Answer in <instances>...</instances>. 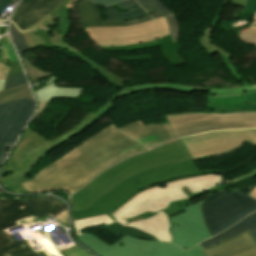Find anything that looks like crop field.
Masks as SVG:
<instances>
[{
  "mask_svg": "<svg viewBox=\"0 0 256 256\" xmlns=\"http://www.w3.org/2000/svg\"><path fill=\"white\" fill-rule=\"evenodd\" d=\"M165 117L176 138L211 130L256 127V111L228 114L182 113Z\"/></svg>",
  "mask_w": 256,
  "mask_h": 256,
  "instance_id": "d8731c3e",
  "label": "crop field"
},
{
  "mask_svg": "<svg viewBox=\"0 0 256 256\" xmlns=\"http://www.w3.org/2000/svg\"><path fill=\"white\" fill-rule=\"evenodd\" d=\"M120 130L150 148H154L174 139L167 123L143 125L138 121L136 123L123 126Z\"/></svg>",
  "mask_w": 256,
  "mask_h": 256,
  "instance_id": "5142ce71",
  "label": "crop field"
},
{
  "mask_svg": "<svg viewBox=\"0 0 256 256\" xmlns=\"http://www.w3.org/2000/svg\"><path fill=\"white\" fill-rule=\"evenodd\" d=\"M223 61L225 62L227 68L230 70L232 75L237 78L239 81L242 80L241 76L237 72L234 65H232L231 61L228 57L220 54ZM243 81V80H242ZM244 82V81H243ZM246 86H236L232 88H201V87H191V86H183L178 84H141L136 85L132 87H124L125 90H132L131 92L124 93L122 95H126L133 92L138 91H144L148 89H164V90H173L178 91L182 93H190L194 90H207L212 91L214 96H229V95H235V94H242L245 91L256 89V85H248L246 82H244Z\"/></svg>",
  "mask_w": 256,
  "mask_h": 256,
  "instance_id": "22f410ed",
  "label": "crop field"
},
{
  "mask_svg": "<svg viewBox=\"0 0 256 256\" xmlns=\"http://www.w3.org/2000/svg\"><path fill=\"white\" fill-rule=\"evenodd\" d=\"M38 102V104H39V110H38V112H37V114L35 115V117L37 116V115H39L43 110H44V108L46 107V105L48 104V103H45V102H39V101H37ZM34 117V118H35ZM33 118V119H34ZM32 119V120H33Z\"/></svg>",
  "mask_w": 256,
  "mask_h": 256,
  "instance_id": "425ffa30",
  "label": "crop field"
},
{
  "mask_svg": "<svg viewBox=\"0 0 256 256\" xmlns=\"http://www.w3.org/2000/svg\"><path fill=\"white\" fill-rule=\"evenodd\" d=\"M237 32V35L243 42H247L256 46V25H249L244 27Z\"/></svg>",
  "mask_w": 256,
  "mask_h": 256,
  "instance_id": "eef30255",
  "label": "crop field"
},
{
  "mask_svg": "<svg viewBox=\"0 0 256 256\" xmlns=\"http://www.w3.org/2000/svg\"><path fill=\"white\" fill-rule=\"evenodd\" d=\"M110 223H113V221L107 215L90 217V218H85L79 221H74V229H75L76 235H78V234H83L81 231H83L86 228H89L92 226L101 227Z\"/></svg>",
  "mask_w": 256,
  "mask_h": 256,
  "instance_id": "214f88e0",
  "label": "crop field"
},
{
  "mask_svg": "<svg viewBox=\"0 0 256 256\" xmlns=\"http://www.w3.org/2000/svg\"><path fill=\"white\" fill-rule=\"evenodd\" d=\"M167 24L170 29L171 37L174 43H176V38L179 35V23L174 14L166 16Z\"/></svg>",
  "mask_w": 256,
  "mask_h": 256,
  "instance_id": "d3111659",
  "label": "crop field"
},
{
  "mask_svg": "<svg viewBox=\"0 0 256 256\" xmlns=\"http://www.w3.org/2000/svg\"><path fill=\"white\" fill-rule=\"evenodd\" d=\"M84 89L56 87L52 83L35 91L37 100L50 102L54 97L76 98Z\"/></svg>",
  "mask_w": 256,
  "mask_h": 256,
  "instance_id": "bc2a9ffb",
  "label": "crop field"
},
{
  "mask_svg": "<svg viewBox=\"0 0 256 256\" xmlns=\"http://www.w3.org/2000/svg\"><path fill=\"white\" fill-rule=\"evenodd\" d=\"M79 17L83 29L99 46H127L170 35L165 17L133 26L127 21L101 22L96 4L89 0L79 3Z\"/></svg>",
  "mask_w": 256,
  "mask_h": 256,
  "instance_id": "f4fd0767",
  "label": "crop field"
},
{
  "mask_svg": "<svg viewBox=\"0 0 256 256\" xmlns=\"http://www.w3.org/2000/svg\"><path fill=\"white\" fill-rule=\"evenodd\" d=\"M255 176H256V169H254V170H252V171H250V172H248V173H246V174H244V175H242L238 178L227 181L225 183L228 184V185H231V184H235V183H238V182L246 180V179L253 178Z\"/></svg>",
  "mask_w": 256,
  "mask_h": 256,
  "instance_id": "d32e631a",
  "label": "crop field"
},
{
  "mask_svg": "<svg viewBox=\"0 0 256 256\" xmlns=\"http://www.w3.org/2000/svg\"><path fill=\"white\" fill-rule=\"evenodd\" d=\"M92 1L100 5H107V4L115 3L121 0H92Z\"/></svg>",
  "mask_w": 256,
  "mask_h": 256,
  "instance_id": "5d738f31",
  "label": "crop field"
},
{
  "mask_svg": "<svg viewBox=\"0 0 256 256\" xmlns=\"http://www.w3.org/2000/svg\"><path fill=\"white\" fill-rule=\"evenodd\" d=\"M76 246L71 247L69 249L63 250L62 256H92L88 252L82 250L77 244Z\"/></svg>",
  "mask_w": 256,
  "mask_h": 256,
  "instance_id": "1d83c4d3",
  "label": "crop field"
},
{
  "mask_svg": "<svg viewBox=\"0 0 256 256\" xmlns=\"http://www.w3.org/2000/svg\"><path fill=\"white\" fill-rule=\"evenodd\" d=\"M221 183L222 174H204L166 183V188L156 186L138 193L116 212L107 215L114 221L141 229L160 241L170 242V224L167 215L163 213L168 203L185 198L192 199Z\"/></svg>",
  "mask_w": 256,
  "mask_h": 256,
  "instance_id": "ac0d7876",
  "label": "crop field"
},
{
  "mask_svg": "<svg viewBox=\"0 0 256 256\" xmlns=\"http://www.w3.org/2000/svg\"><path fill=\"white\" fill-rule=\"evenodd\" d=\"M254 24H256V16H255V23Z\"/></svg>",
  "mask_w": 256,
  "mask_h": 256,
  "instance_id": "447ae74e",
  "label": "crop field"
},
{
  "mask_svg": "<svg viewBox=\"0 0 256 256\" xmlns=\"http://www.w3.org/2000/svg\"><path fill=\"white\" fill-rule=\"evenodd\" d=\"M256 11V0H247L242 15H254Z\"/></svg>",
  "mask_w": 256,
  "mask_h": 256,
  "instance_id": "5866460e",
  "label": "crop field"
},
{
  "mask_svg": "<svg viewBox=\"0 0 256 256\" xmlns=\"http://www.w3.org/2000/svg\"><path fill=\"white\" fill-rule=\"evenodd\" d=\"M63 0H27L15 10L12 21L21 30H25L38 19L48 14Z\"/></svg>",
  "mask_w": 256,
  "mask_h": 256,
  "instance_id": "d9b57169",
  "label": "crop field"
},
{
  "mask_svg": "<svg viewBox=\"0 0 256 256\" xmlns=\"http://www.w3.org/2000/svg\"><path fill=\"white\" fill-rule=\"evenodd\" d=\"M13 62L10 61V66H12Z\"/></svg>",
  "mask_w": 256,
  "mask_h": 256,
  "instance_id": "1d79db26",
  "label": "crop field"
},
{
  "mask_svg": "<svg viewBox=\"0 0 256 256\" xmlns=\"http://www.w3.org/2000/svg\"><path fill=\"white\" fill-rule=\"evenodd\" d=\"M125 90L116 92L95 114L87 113L82 122L61 136L46 140L31 128H27L16 148L0 171V184L14 193H29L19 184L24 182L33 166L48 152L89 128L108 110L114 107L112 102ZM21 161V163H19Z\"/></svg>",
  "mask_w": 256,
  "mask_h": 256,
  "instance_id": "34b2d1b8",
  "label": "crop field"
},
{
  "mask_svg": "<svg viewBox=\"0 0 256 256\" xmlns=\"http://www.w3.org/2000/svg\"><path fill=\"white\" fill-rule=\"evenodd\" d=\"M105 10L107 13V21L129 20V19H135V18H139L147 15V13L141 7L132 11L122 12L119 14L117 10L114 8L113 4H111L109 6H106Z\"/></svg>",
  "mask_w": 256,
  "mask_h": 256,
  "instance_id": "dafd665d",
  "label": "crop field"
},
{
  "mask_svg": "<svg viewBox=\"0 0 256 256\" xmlns=\"http://www.w3.org/2000/svg\"><path fill=\"white\" fill-rule=\"evenodd\" d=\"M0 57H3V58L6 59L4 47H3V48L1 49V51H0Z\"/></svg>",
  "mask_w": 256,
  "mask_h": 256,
  "instance_id": "1f2cbd36",
  "label": "crop field"
},
{
  "mask_svg": "<svg viewBox=\"0 0 256 256\" xmlns=\"http://www.w3.org/2000/svg\"><path fill=\"white\" fill-rule=\"evenodd\" d=\"M26 83L27 82L25 80V77H24L23 73L13 75V76H9V77L6 78L4 89L15 87V86L26 84Z\"/></svg>",
  "mask_w": 256,
  "mask_h": 256,
  "instance_id": "750c4746",
  "label": "crop field"
},
{
  "mask_svg": "<svg viewBox=\"0 0 256 256\" xmlns=\"http://www.w3.org/2000/svg\"><path fill=\"white\" fill-rule=\"evenodd\" d=\"M150 19H151L150 16L147 15V16H145L143 18H139V19H135V20H130L128 22H129L130 25H133V24H139V23L145 22V21L150 20Z\"/></svg>",
  "mask_w": 256,
  "mask_h": 256,
  "instance_id": "03da06ac",
  "label": "crop field"
},
{
  "mask_svg": "<svg viewBox=\"0 0 256 256\" xmlns=\"http://www.w3.org/2000/svg\"><path fill=\"white\" fill-rule=\"evenodd\" d=\"M5 50H6V56L8 60H11L13 62L18 61L16 54L14 52V49L11 45V42L9 39L6 40L5 44H4Z\"/></svg>",
  "mask_w": 256,
  "mask_h": 256,
  "instance_id": "120bbe31",
  "label": "crop field"
},
{
  "mask_svg": "<svg viewBox=\"0 0 256 256\" xmlns=\"http://www.w3.org/2000/svg\"><path fill=\"white\" fill-rule=\"evenodd\" d=\"M236 256H256V248H254L252 250H249V251H246V252L241 253V254L236 255Z\"/></svg>",
  "mask_w": 256,
  "mask_h": 256,
  "instance_id": "d23c7cc5",
  "label": "crop field"
},
{
  "mask_svg": "<svg viewBox=\"0 0 256 256\" xmlns=\"http://www.w3.org/2000/svg\"><path fill=\"white\" fill-rule=\"evenodd\" d=\"M143 9H144L146 12H148V13L152 16L153 19L156 18V17H161V16H163V15L161 14V12H159V11H158L155 7H153L150 3L147 4V5H145V6H143Z\"/></svg>",
  "mask_w": 256,
  "mask_h": 256,
  "instance_id": "028f5c9d",
  "label": "crop field"
},
{
  "mask_svg": "<svg viewBox=\"0 0 256 256\" xmlns=\"http://www.w3.org/2000/svg\"><path fill=\"white\" fill-rule=\"evenodd\" d=\"M50 79H51V80H49V81H47V82H44V81H43V82L47 85V84L51 83V82H52V80H56V78H55V77H51Z\"/></svg>",
  "mask_w": 256,
  "mask_h": 256,
  "instance_id": "0fb4a251",
  "label": "crop field"
},
{
  "mask_svg": "<svg viewBox=\"0 0 256 256\" xmlns=\"http://www.w3.org/2000/svg\"><path fill=\"white\" fill-rule=\"evenodd\" d=\"M70 0H65L64 2H62L60 5H58L57 7H55L48 15H46L45 17L41 18L39 21H37L35 24H33L31 27H29L28 29H34V28H40V27H50L53 24V18L54 16L57 17V13L60 12V10L62 8H64V6L69 2ZM27 29V30H28Z\"/></svg>",
  "mask_w": 256,
  "mask_h": 256,
  "instance_id": "4177f3b9",
  "label": "crop field"
},
{
  "mask_svg": "<svg viewBox=\"0 0 256 256\" xmlns=\"http://www.w3.org/2000/svg\"><path fill=\"white\" fill-rule=\"evenodd\" d=\"M204 173H221L218 170L198 171L193 160L167 164L136 174L121 182L116 188L103 196L87 210L73 212L74 220L109 213L132 193L154 184L186 175ZM133 195V194H132Z\"/></svg>",
  "mask_w": 256,
  "mask_h": 256,
  "instance_id": "e52e79f7",
  "label": "crop field"
},
{
  "mask_svg": "<svg viewBox=\"0 0 256 256\" xmlns=\"http://www.w3.org/2000/svg\"><path fill=\"white\" fill-rule=\"evenodd\" d=\"M99 256H150L142 254L138 251L132 250L126 246L116 243L113 247H108L101 251Z\"/></svg>",
  "mask_w": 256,
  "mask_h": 256,
  "instance_id": "00972430",
  "label": "crop field"
},
{
  "mask_svg": "<svg viewBox=\"0 0 256 256\" xmlns=\"http://www.w3.org/2000/svg\"><path fill=\"white\" fill-rule=\"evenodd\" d=\"M28 85L7 89L0 92V104L31 97Z\"/></svg>",
  "mask_w": 256,
  "mask_h": 256,
  "instance_id": "92a150f3",
  "label": "crop field"
},
{
  "mask_svg": "<svg viewBox=\"0 0 256 256\" xmlns=\"http://www.w3.org/2000/svg\"><path fill=\"white\" fill-rule=\"evenodd\" d=\"M138 3L142 6L148 2H150L153 6H155L158 10L162 12L164 16L173 13L169 10L160 0H137Z\"/></svg>",
  "mask_w": 256,
  "mask_h": 256,
  "instance_id": "bd1437ed",
  "label": "crop field"
},
{
  "mask_svg": "<svg viewBox=\"0 0 256 256\" xmlns=\"http://www.w3.org/2000/svg\"><path fill=\"white\" fill-rule=\"evenodd\" d=\"M22 62L26 68L30 82L53 75L51 72L46 73L37 69L27 59H23Z\"/></svg>",
  "mask_w": 256,
  "mask_h": 256,
  "instance_id": "ae1a2a85",
  "label": "crop field"
},
{
  "mask_svg": "<svg viewBox=\"0 0 256 256\" xmlns=\"http://www.w3.org/2000/svg\"><path fill=\"white\" fill-rule=\"evenodd\" d=\"M22 35L24 36V38L26 39L30 49H34V48H37L32 40V38L30 37L28 31H25V32H21Z\"/></svg>",
  "mask_w": 256,
  "mask_h": 256,
  "instance_id": "c21b1889",
  "label": "crop field"
},
{
  "mask_svg": "<svg viewBox=\"0 0 256 256\" xmlns=\"http://www.w3.org/2000/svg\"><path fill=\"white\" fill-rule=\"evenodd\" d=\"M204 200L187 206L185 212L172 217L170 220L179 225H173L171 234L173 239L171 242L182 248H189L195 244L212 237L203 221L201 214V205Z\"/></svg>",
  "mask_w": 256,
  "mask_h": 256,
  "instance_id": "d1516ede",
  "label": "crop field"
},
{
  "mask_svg": "<svg viewBox=\"0 0 256 256\" xmlns=\"http://www.w3.org/2000/svg\"><path fill=\"white\" fill-rule=\"evenodd\" d=\"M256 247L249 231L204 251L206 256H233Z\"/></svg>",
  "mask_w": 256,
  "mask_h": 256,
  "instance_id": "733c2abd",
  "label": "crop field"
},
{
  "mask_svg": "<svg viewBox=\"0 0 256 256\" xmlns=\"http://www.w3.org/2000/svg\"><path fill=\"white\" fill-rule=\"evenodd\" d=\"M11 33L16 44V47L19 51L21 59L25 58L23 53L30 50L25 39L21 35V33L17 30L16 26L11 22Z\"/></svg>",
  "mask_w": 256,
  "mask_h": 256,
  "instance_id": "730fd06b",
  "label": "crop field"
},
{
  "mask_svg": "<svg viewBox=\"0 0 256 256\" xmlns=\"http://www.w3.org/2000/svg\"><path fill=\"white\" fill-rule=\"evenodd\" d=\"M250 194L254 197H256V186L254 188H252Z\"/></svg>",
  "mask_w": 256,
  "mask_h": 256,
  "instance_id": "dbb93151",
  "label": "crop field"
},
{
  "mask_svg": "<svg viewBox=\"0 0 256 256\" xmlns=\"http://www.w3.org/2000/svg\"><path fill=\"white\" fill-rule=\"evenodd\" d=\"M137 7H139L138 4L130 6V7H127V8H124V10L127 11V10H131V9H134V8H137Z\"/></svg>",
  "mask_w": 256,
  "mask_h": 256,
  "instance_id": "89e229c0",
  "label": "crop field"
},
{
  "mask_svg": "<svg viewBox=\"0 0 256 256\" xmlns=\"http://www.w3.org/2000/svg\"><path fill=\"white\" fill-rule=\"evenodd\" d=\"M2 197H4V196L0 194V199H1Z\"/></svg>",
  "mask_w": 256,
  "mask_h": 256,
  "instance_id": "9d1cf04e",
  "label": "crop field"
},
{
  "mask_svg": "<svg viewBox=\"0 0 256 256\" xmlns=\"http://www.w3.org/2000/svg\"><path fill=\"white\" fill-rule=\"evenodd\" d=\"M79 239L80 243H82L84 246L87 248L91 249L92 251L98 253L102 249L106 248L108 245L101 239L86 233L84 235H79L77 236ZM123 245L129 246L135 250L141 251L146 254H151L153 255L155 250H164V251H183L179 249L178 247L165 243V242H149V241H143L139 239L132 238L130 236L125 235L122 237L121 240L117 241ZM115 244V243H114ZM113 244V245H114ZM111 245V246H113Z\"/></svg>",
  "mask_w": 256,
  "mask_h": 256,
  "instance_id": "cbeb9de0",
  "label": "crop field"
},
{
  "mask_svg": "<svg viewBox=\"0 0 256 256\" xmlns=\"http://www.w3.org/2000/svg\"><path fill=\"white\" fill-rule=\"evenodd\" d=\"M191 159L179 139L141 155L130 157L98 175L88 186L72 196L73 211L84 210L126 178L176 161Z\"/></svg>",
  "mask_w": 256,
  "mask_h": 256,
  "instance_id": "412701ff",
  "label": "crop field"
},
{
  "mask_svg": "<svg viewBox=\"0 0 256 256\" xmlns=\"http://www.w3.org/2000/svg\"><path fill=\"white\" fill-rule=\"evenodd\" d=\"M180 141L191 158H201L226 153L246 142L256 146V129L208 132L186 138Z\"/></svg>",
  "mask_w": 256,
  "mask_h": 256,
  "instance_id": "3316defc",
  "label": "crop field"
},
{
  "mask_svg": "<svg viewBox=\"0 0 256 256\" xmlns=\"http://www.w3.org/2000/svg\"><path fill=\"white\" fill-rule=\"evenodd\" d=\"M255 210L256 200L240 191L212 194L202 205L205 225L212 236Z\"/></svg>",
  "mask_w": 256,
  "mask_h": 256,
  "instance_id": "5a996713",
  "label": "crop field"
},
{
  "mask_svg": "<svg viewBox=\"0 0 256 256\" xmlns=\"http://www.w3.org/2000/svg\"><path fill=\"white\" fill-rule=\"evenodd\" d=\"M164 213H166L169 217H172V216H174V215H176V214L181 213V211H180L178 208H176L172 203H170V204L166 207V210H165Z\"/></svg>",
  "mask_w": 256,
  "mask_h": 256,
  "instance_id": "b80d0937",
  "label": "crop field"
},
{
  "mask_svg": "<svg viewBox=\"0 0 256 256\" xmlns=\"http://www.w3.org/2000/svg\"><path fill=\"white\" fill-rule=\"evenodd\" d=\"M10 0H0V14L2 13V11L5 9V7L7 6L8 2Z\"/></svg>",
  "mask_w": 256,
  "mask_h": 256,
  "instance_id": "73cf0c24",
  "label": "crop field"
},
{
  "mask_svg": "<svg viewBox=\"0 0 256 256\" xmlns=\"http://www.w3.org/2000/svg\"><path fill=\"white\" fill-rule=\"evenodd\" d=\"M212 29L206 27L204 34L201 36V44L205 50H207L211 55L216 54L217 52H220L222 54H225L229 57L233 56L227 51L219 48L211 41V33Z\"/></svg>",
  "mask_w": 256,
  "mask_h": 256,
  "instance_id": "a9b5d70f",
  "label": "crop field"
},
{
  "mask_svg": "<svg viewBox=\"0 0 256 256\" xmlns=\"http://www.w3.org/2000/svg\"><path fill=\"white\" fill-rule=\"evenodd\" d=\"M184 256H205L200 248V246L196 245L194 248L185 251Z\"/></svg>",
  "mask_w": 256,
  "mask_h": 256,
  "instance_id": "0bd39190",
  "label": "crop field"
},
{
  "mask_svg": "<svg viewBox=\"0 0 256 256\" xmlns=\"http://www.w3.org/2000/svg\"><path fill=\"white\" fill-rule=\"evenodd\" d=\"M34 215V217H33ZM50 215L68 227L67 207L59 200L49 197H34L16 200L4 197L0 200V256H45L41 251L34 253L26 241L16 243L1 230L17 225V221L32 217L33 220Z\"/></svg>",
  "mask_w": 256,
  "mask_h": 256,
  "instance_id": "dd49c442",
  "label": "crop field"
},
{
  "mask_svg": "<svg viewBox=\"0 0 256 256\" xmlns=\"http://www.w3.org/2000/svg\"><path fill=\"white\" fill-rule=\"evenodd\" d=\"M118 4L121 8H124V7L130 6V5L136 4V1L135 0H125L122 2H118Z\"/></svg>",
  "mask_w": 256,
  "mask_h": 256,
  "instance_id": "b54c1fbb",
  "label": "crop field"
},
{
  "mask_svg": "<svg viewBox=\"0 0 256 256\" xmlns=\"http://www.w3.org/2000/svg\"><path fill=\"white\" fill-rule=\"evenodd\" d=\"M246 0H231V4L244 7Z\"/></svg>",
  "mask_w": 256,
  "mask_h": 256,
  "instance_id": "25e5ab78",
  "label": "crop field"
},
{
  "mask_svg": "<svg viewBox=\"0 0 256 256\" xmlns=\"http://www.w3.org/2000/svg\"><path fill=\"white\" fill-rule=\"evenodd\" d=\"M33 110V97L0 105V164L6 148L17 139Z\"/></svg>",
  "mask_w": 256,
  "mask_h": 256,
  "instance_id": "28ad6ade",
  "label": "crop field"
},
{
  "mask_svg": "<svg viewBox=\"0 0 256 256\" xmlns=\"http://www.w3.org/2000/svg\"><path fill=\"white\" fill-rule=\"evenodd\" d=\"M9 69H10V67H7V66L0 63V91L3 88L5 78H6V75L9 71Z\"/></svg>",
  "mask_w": 256,
  "mask_h": 256,
  "instance_id": "e1f06a70",
  "label": "crop field"
},
{
  "mask_svg": "<svg viewBox=\"0 0 256 256\" xmlns=\"http://www.w3.org/2000/svg\"><path fill=\"white\" fill-rule=\"evenodd\" d=\"M147 150L110 125L71 149L21 186L31 193L67 190L72 194L103 169Z\"/></svg>",
  "mask_w": 256,
  "mask_h": 256,
  "instance_id": "8a807250",
  "label": "crop field"
},
{
  "mask_svg": "<svg viewBox=\"0 0 256 256\" xmlns=\"http://www.w3.org/2000/svg\"><path fill=\"white\" fill-rule=\"evenodd\" d=\"M184 252H163L156 251L154 256H182Z\"/></svg>",
  "mask_w": 256,
  "mask_h": 256,
  "instance_id": "c035e120",
  "label": "crop field"
},
{
  "mask_svg": "<svg viewBox=\"0 0 256 256\" xmlns=\"http://www.w3.org/2000/svg\"><path fill=\"white\" fill-rule=\"evenodd\" d=\"M249 230L252 237L256 241V212L250 214L245 219H243L238 224L232 226L231 228L227 229L223 233L208 239L201 243L203 249H206L208 247H212L226 239L233 238L245 231Z\"/></svg>",
  "mask_w": 256,
  "mask_h": 256,
  "instance_id": "4a817a6b",
  "label": "crop field"
}]
</instances>
